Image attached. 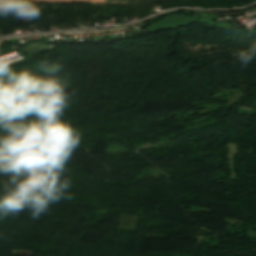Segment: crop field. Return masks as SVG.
I'll return each mask as SVG.
<instances>
[{
    "mask_svg": "<svg viewBox=\"0 0 256 256\" xmlns=\"http://www.w3.org/2000/svg\"><path fill=\"white\" fill-rule=\"evenodd\" d=\"M155 1L159 0H107V5L145 7Z\"/></svg>",
    "mask_w": 256,
    "mask_h": 256,
    "instance_id": "obj_1",
    "label": "crop field"
},
{
    "mask_svg": "<svg viewBox=\"0 0 256 256\" xmlns=\"http://www.w3.org/2000/svg\"><path fill=\"white\" fill-rule=\"evenodd\" d=\"M33 1H45V2H75V1H86L89 2V0H31ZM91 2H104V0H91Z\"/></svg>",
    "mask_w": 256,
    "mask_h": 256,
    "instance_id": "obj_2",
    "label": "crop field"
},
{
    "mask_svg": "<svg viewBox=\"0 0 256 256\" xmlns=\"http://www.w3.org/2000/svg\"><path fill=\"white\" fill-rule=\"evenodd\" d=\"M0 9H4L2 0H0Z\"/></svg>",
    "mask_w": 256,
    "mask_h": 256,
    "instance_id": "obj_3",
    "label": "crop field"
}]
</instances>
